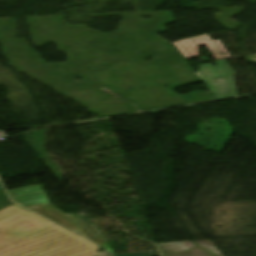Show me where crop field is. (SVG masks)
I'll use <instances>...</instances> for the list:
<instances>
[{"mask_svg":"<svg viewBox=\"0 0 256 256\" xmlns=\"http://www.w3.org/2000/svg\"><path fill=\"white\" fill-rule=\"evenodd\" d=\"M0 256H92L97 247L18 207L0 211Z\"/></svg>","mask_w":256,"mask_h":256,"instance_id":"obj_1","label":"crop field"},{"mask_svg":"<svg viewBox=\"0 0 256 256\" xmlns=\"http://www.w3.org/2000/svg\"><path fill=\"white\" fill-rule=\"evenodd\" d=\"M29 210L99 246H101L102 243H108L94 225L90 224L86 219L80 216L66 215L51 204L29 208Z\"/></svg>","mask_w":256,"mask_h":256,"instance_id":"obj_2","label":"crop field"},{"mask_svg":"<svg viewBox=\"0 0 256 256\" xmlns=\"http://www.w3.org/2000/svg\"><path fill=\"white\" fill-rule=\"evenodd\" d=\"M217 64V66H212L210 63L201 65L197 72L198 76L216 100L237 96L235 72L227 61H220Z\"/></svg>","mask_w":256,"mask_h":256,"instance_id":"obj_3","label":"crop field"},{"mask_svg":"<svg viewBox=\"0 0 256 256\" xmlns=\"http://www.w3.org/2000/svg\"><path fill=\"white\" fill-rule=\"evenodd\" d=\"M177 49L188 58L198 57V47L207 45L215 59L231 58L220 40L213 41L208 35L197 36L174 43ZM222 53H226L225 56Z\"/></svg>","mask_w":256,"mask_h":256,"instance_id":"obj_4","label":"crop field"},{"mask_svg":"<svg viewBox=\"0 0 256 256\" xmlns=\"http://www.w3.org/2000/svg\"><path fill=\"white\" fill-rule=\"evenodd\" d=\"M9 193L14 202L25 208L49 203L44 191L41 189L40 186L12 190L9 191Z\"/></svg>","mask_w":256,"mask_h":256,"instance_id":"obj_5","label":"crop field"},{"mask_svg":"<svg viewBox=\"0 0 256 256\" xmlns=\"http://www.w3.org/2000/svg\"><path fill=\"white\" fill-rule=\"evenodd\" d=\"M3 191H5V190L2 187V185L0 184V206L4 205L7 202H10L6 192H3Z\"/></svg>","mask_w":256,"mask_h":256,"instance_id":"obj_6","label":"crop field"},{"mask_svg":"<svg viewBox=\"0 0 256 256\" xmlns=\"http://www.w3.org/2000/svg\"><path fill=\"white\" fill-rule=\"evenodd\" d=\"M102 245L104 248L107 249V251L100 253L101 256H114V253H113V250H112L110 244H102Z\"/></svg>","mask_w":256,"mask_h":256,"instance_id":"obj_7","label":"crop field"},{"mask_svg":"<svg viewBox=\"0 0 256 256\" xmlns=\"http://www.w3.org/2000/svg\"><path fill=\"white\" fill-rule=\"evenodd\" d=\"M153 252H149V253H140V254H118L115 256H149L152 255Z\"/></svg>","mask_w":256,"mask_h":256,"instance_id":"obj_8","label":"crop field"},{"mask_svg":"<svg viewBox=\"0 0 256 256\" xmlns=\"http://www.w3.org/2000/svg\"><path fill=\"white\" fill-rule=\"evenodd\" d=\"M96 256H100V255L98 254V255H96Z\"/></svg>","mask_w":256,"mask_h":256,"instance_id":"obj_9","label":"crop field"}]
</instances>
